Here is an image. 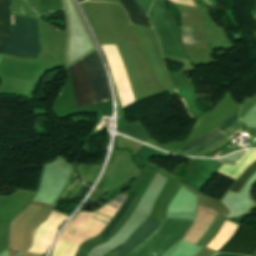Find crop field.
<instances>
[{
    "mask_svg": "<svg viewBox=\"0 0 256 256\" xmlns=\"http://www.w3.org/2000/svg\"><path fill=\"white\" fill-rule=\"evenodd\" d=\"M194 220L166 218L159 229L127 256H161L181 239Z\"/></svg>",
    "mask_w": 256,
    "mask_h": 256,
    "instance_id": "2",
    "label": "crop field"
},
{
    "mask_svg": "<svg viewBox=\"0 0 256 256\" xmlns=\"http://www.w3.org/2000/svg\"><path fill=\"white\" fill-rule=\"evenodd\" d=\"M238 120V111L232 116L230 117L228 120L225 121V123L218 127V129L223 133L226 129H228L234 122H236ZM217 128L213 131H211L210 133L206 134L205 136L201 137L200 139L196 140L195 142L191 143L190 145L182 148L181 150L179 151H182V152H186L192 148H194L195 146L203 143L204 141L212 138L213 136L221 133ZM240 127H239V124H238V121L233 124L227 131H225L223 134L226 135L228 138L233 135L237 130H239ZM239 132V131H238ZM238 132H236L232 137H234ZM219 134L215 137H213L212 139L204 142L203 144L195 147L194 149L188 151L187 153H191V154H196L204 149H206L207 147L215 144L216 142L226 138L223 134ZM230 137V138H232ZM229 138V139H230Z\"/></svg>",
    "mask_w": 256,
    "mask_h": 256,
    "instance_id": "4",
    "label": "crop field"
},
{
    "mask_svg": "<svg viewBox=\"0 0 256 256\" xmlns=\"http://www.w3.org/2000/svg\"><path fill=\"white\" fill-rule=\"evenodd\" d=\"M256 160V150L248 151L235 167L222 165L218 173L223 174L233 180H236L242 171Z\"/></svg>",
    "mask_w": 256,
    "mask_h": 256,
    "instance_id": "8",
    "label": "crop field"
},
{
    "mask_svg": "<svg viewBox=\"0 0 256 256\" xmlns=\"http://www.w3.org/2000/svg\"><path fill=\"white\" fill-rule=\"evenodd\" d=\"M256 173V162L250 166L238 179L236 185L229 191V193L237 195V193L240 191V189L243 187V185L246 183V181Z\"/></svg>",
    "mask_w": 256,
    "mask_h": 256,
    "instance_id": "11",
    "label": "crop field"
},
{
    "mask_svg": "<svg viewBox=\"0 0 256 256\" xmlns=\"http://www.w3.org/2000/svg\"><path fill=\"white\" fill-rule=\"evenodd\" d=\"M126 13L134 24H139L143 26H150V23L146 15L141 11L137 4L133 0H120Z\"/></svg>",
    "mask_w": 256,
    "mask_h": 256,
    "instance_id": "9",
    "label": "crop field"
},
{
    "mask_svg": "<svg viewBox=\"0 0 256 256\" xmlns=\"http://www.w3.org/2000/svg\"><path fill=\"white\" fill-rule=\"evenodd\" d=\"M2 3L0 0V35L2 32ZM11 37L10 0H4L3 4V32L0 39V54L4 53L5 47Z\"/></svg>",
    "mask_w": 256,
    "mask_h": 256,
    "instance_id": "7",
    "label": "crop field"
},
{
    "mask_svg": "<svg viewBox=\"0 0 256 256\" xmlns=\"http://www.w3.org/2000/svg\"><path fill=\"white\" fill-rule=\"evenodd\" d=\"M83 60L91 84L94 88L96 103L109 100V89L100 62L98 60L96 50L85 57ZM83 60H80L67 67L71 76L78 107L95 103L93 88L90 84Z\"/></svg>",
    "mask_w": 256,
    "mask_h": 256,
    "instance_id": "1",
    "label": "crop field"
},
{
    "mask_svg": "<svg viewBox=\"0 0 256 256\" xmlns=\"http://www.w3.org/2000/svg\"><path fill=\"white\" fill-rule=\"evenodd\" d=\"M160 224V221L148 218L147 221L132 234V236L130 235L131 237L124 244L110 251L111 254L113 256H126L143 240L149 237Z\"/></svg>",
    "mask_w": 256,
    "mask_h": 256,
    "instance_id": "6",
    "label": "crop field"
},
{
    "mask_svg": "<svg viewBox=\"0 0 256 256\" xmlns=\"http://www.w3.org/2000/svg\"><path fill=\"white\" fill-rule=\"evenodd\" d=\"M184 44H200L198 26L181 25Z\"/></svg>",
    "mask_w": 256,
    "mask_h": 256,
    "instance_id": "10",
    "label": "crop field"
},
{
    "mask_svg": "<svg viewBox=\"0 0 256 256\" xmlns=\"http://www.w3.org/2000/svg\"><path fill=\"white\" fill-rule=\"evenodd\" d=\"M255 250L256 231L246 226L239 225L234 236L218 252L251 255Z\"/></svg>",
    "mask_w": 256,
    "mask_h": 256,
    "instance_id": "5",
    "label": "crop field"
},
{
    "mask_svg": "<svg viewBox=\"0 0 256 256\" xmlns=\"http://www.w3.org/2000/svg\"><path fill=\"white\" fill-rule=\"evenodd\" d=\"M85 1V0H78V2Z\"/></svg>",
    "mask_w": 256,
    "mask_h": 256,
    "instance_id": "13",
    "label": "crop field"
},
{
    "mask_svg": "<svg viewBox=\"0 0 256 256\" xmlns=\"http://www.w3.org/2000/svg\"><path fill=\"white\" fill-rule=\"evenodd\" d=\"M134 195V192H130L127 198L125 199L123 205L121 208L118 210V212L115 214V216L112 218V220L108 223V225L104 228V230L99 234V236H103L107 233V231L110 229V227L113 225V223L116 221V219L119 217V215L122 213L126 205L129 203L131 200L132 196Z\"/></svg>",
    "mask_w": 256,
    "mask_h": 256,
    "instance_id": "12",
    "label": "crop field"
},
{
    "mask_svg": "<svg viewBox=\"0 0 256 256\" xmlns=\"http://www.w3.org/2000/svg\"><path fill=\"white\" fill-rule=\"evenodd\" d=\"M11 19L13 25L12 15ZM39 51L38 21L28 17L14 16L12 38L5 54L36 59Z\"/></svg>",
    "mask_w": 256,
    "mask_h": 256,
    "instance_id": "3",
    "label": "crop field"
}]
</instances>
